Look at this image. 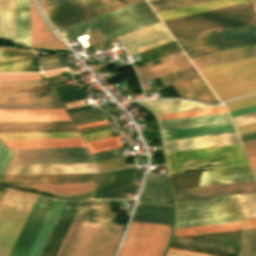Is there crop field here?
Listing matches in <instances>:
<instances>
[{
  "label": "crop field",
  "mask_w": 256,
  "mask_h": 256,
  "mask_svg": "<svg viewBox=\"0 0 256 256\" xmlns=\"http://www.w3.org/2000/svg\"><path fill=\"white\" fill-rule=\"evenodd\" d=\"M236 197L245 217H256V194ZM236 197L230 194L175 201V228L245 220Z\"/></svg>",
  "instance_id": "obj_1"
},
{
  "label": "crop field",
  "mask_w": 256,
  "mask_h": 256,
  "mask_svg": "<svg viewBox=\"0 0 256 256\" xmlns=\"http://www.w3.org/2000/svg\"><path fill=\"white\" fill-rule=\"evenodd\" d=\"M109 201L94 202L68 256H112L122 231Z\"/></svg>",
  "instance_id": "obj_2"
},
{
  "label": "crop field",
  "mask_w": 256,
  "mask_h": 256,
  "mask_svg": "<svg viewBox=\"0 0 256 256\" xmlns=\"http://www.w3.org/2000/svg\"><path fill=\"white\" fill-rule=\"evenodd\" d=\"M165 21V20H164ZM256 21L252 1L165 21L176 40Z\"/></svg>",
  "instance_id": "obj_3"
},
{
  "label": "crop field",
  "mask_w": 256,
  "mask_h": 256,
  "mask_svg": "<svg viewBox=\"0 0 256 256\" xmlns=\"http://www.w3.org/2000/svg\"><path fill=\"white\" fill-rule=\"evenodd\" d=\"M52 200L37 196L9 256H26ZM66 201L53 200L27 256H40Z\"/></svg>",
  "instance_id": "obj_4"
},
{
  "label": "crop field",
  "mask_w": 256,
  "mask_h": 256,
  "mask_svg": "<svg viewBox=\"0 0 256 256\" xmlns=\"http://www.w3.org/2000/svg\"><path fill=\"white\" fill-rule=\"evenodd\" d=\"M220 101L256 92V56L199 68Z\"/></svg>",
  "instance_id": "obj_5"
},
{
  "label": "crop field",
  "mask_w": 256,
  "mask_h": 256,
  "mask_svg": "<svg viewBox=\"0 0 256 256\" xmlns=\"http://www.w3.org/2000/svg\"><path fill=\"white\" fill-rule=\"evenodd\" d=\"M170 173L249 164L240 144L166 153ZM223 163L207 168L196 166Z\"/></svg>",
  "instance_id": "obj_6"
},
{
  "label": "crop field",
  "mask_w": 256,
  "mask_h": 256,
  "mask_svg": "<svg viewBox=\"0 0 256 256\" xmlns=\"http://www.w3.org/2000/svg\"><path fill=\"white\" fill-rule=\"evenodd\" d=\"M189 58L256 43V22L179 40Z\"/></svg>",
  "instance_id": "obj_7"
},
{
  "label": "crop field",
  "mask_w": 256,
  "mask_h": 256,
  "mask_svg": "<svg viewBox=\"0 0 256 256\" xmlns=\"http://www.w3.org/2000/svg\"><path fill=\"white\" fill-rule=\"evenodd\" d=\"M36 196L6 190L0 202V256H8Z\"/></svg>",
  "instance_id": "obj_8"
},
{
  "label": "crop field",
  "mask_w": 256,
  "mask_h": 256,
  "mask_svg": "<svg viewBox=\"0 0 256 256\" xmlns=\"http://www.w3.org/2000/svg\"><path fill=\"white\" fill-rule=\"evenodd\" d=\"M169 233L166 225L131 222L118 256H160Z\"/></svg>",
  "instance_id": "obj_9"
},
{
  "label": "crop field",
  "mask_w": 256,
  "mask_h": 256,
  "mask_svg": "<svg viewBox=\"0 0 256 256\" xmlns=\"http://www.w3.org/2000/svg\"><path fill=\"white\" fill-rule=\"evenodd\" d=\"M10 164L93 162L86 147L11 149Z\"/></svg>",
  "instance_id": "obj_10"
},
{
  "label": "crop field",
  "mask_w": 256,
  "mask_h": 256,
  "mask_svg": "<svg viewBox=\"0 0 256 256\" xmlns=\"http://www.w3.org/2000/svg\"><path fill=\"white\" fill-rule=\"evenodd\" d=\"M152 11L145 0L61 29L65 41Z\"/></svg>",
  "instance_id": "obj_11"
},
{
  "label": "crop field",
  "mask_w": 256,
  "mask_h": 256,
  "mask_svg": "<svg viewBox=\"0 0 256 256\" xmlns=\"http://www.w3.org/2000/svg\"><path fill=\"white\" fill-rule=\"evenodd\" d=\"M120 1L123 0H63L43 7V10L55 25Z\"/></svg>",
  "instance_id": "obj_12"
},
{
  "label": "crop field",
  "mask_w": 256,
  "mask_h": 256,
  "mask_svg": "<svg viewBox=\"0 0 256 256\" xmlns=\"http://www.w3.org/2000/svg\"><path fill=\"white\" fill-rule=\"evenodd\" d=\"M128 55L141 52L162 43L173 40L161 22L117 37Z\"/></svg>",
  "instance_id": "obj_13"
},
{
  "label": "crop field",
  "mask_w": 256,
  "mask_h": 256,
  "mask_svg": "<svg viewBox=\"0 0 256 256\" xmlns=\"http://www.w3.org/2000/svg\"><path fill=\"white\" fill-rule=\"evenodd\" d=\"M99 173L3 175L4 184L96 182Z\"/></svg>",
  "instance_id": "obj_14"
},
{
  "label": "crop field",
  "mask_w": 256,
  "mask_h": 256,
  "mask_svg": "<svg viewBox=\"0 0 256 256\" xmlns=\"http://www.w3.org/2000/svg\"><path fill=\"white\" fill-rule=\"evenodd\" d=\"M43 93L49 92L0 93V109L62 108L57 96L40 98Z\"/></svg>",
  "instance_id": "obj_15"
},
{
  "label": "crop field",
  "mask_w": 256,
  "mask_h": 256,
  "mask_svg": "<svg viewBox=\"0 0 256 256\" xmlns=\"http://www.w3.org/2000/svg\"><path fill=\"white\" fill-rule=\"evenodd\" d=\"M256 191V180L173 190L175 200Z\"/></svg>",
  "instance_id": "obj_16"
},
{
  "label": "crop field",
  "mask_w": 256,
  "mask_h": 256,
  "mask_svg": "<svg viewBox=\"0 0 256 256\" xmlns=\"http://www.w3.org/2000/svg\"><path fill=\"white\" fill-rule=\"evenodd\" d=\"M70 121L64 109L0 110V122Z\"/></svg>",
  "instance_id": "obj_17"
},
{
  "label": "crop field",
  "mask_w": 256,
  "mask_h": 256,
  "mask_svg": "<svg viewBox=\"0 0 256 256\" xmlns=\"http://www.w3.org/2000/svg\"><path fill=\"white\" fill-rule=\"evenodd\" d=\"M165 152L240 143L236 134H222L163 141Z\"/></svg>",
  "instance_id": "obj_18"
},
{
  "label": "crop field",
  "mask_w": 256,
  "mask_h": 256,
  "mask_svg": "<svg viewBox=\"0 0 256 256\" xmlns=\"http://www.w3.org/2000/svg\"><path fill=\"white\" fill-rule=\"evenodd\" d=\"M98 172L94 163L9 165L5 174Z\"/></svg>",
  "instance_id": "obj_19"
},
{
  "label": "crop field",
  "mask_w": 256,
  "mask_h": 256,
  "mask_svg": "<svg viewBox=\"0 0 256 256\" xmlns=\"http://www.w3.org/2000/svg\"><path fill=\"white\" fill-rule=\"evenodd\" d=\"M31 47L45 50H68L45 26L30 0Z\"/></svg>",
  "instance_id": "obj_20"
},
{
  "label": "crop field",
  "mask_w": 256,
  "mask_h": 256,
  "mask_svg": "<svg viewBox=\"0 0 256 256\" xmlns=\"http://www.w3.org/2000/svg\"><path fill=\"white\" fill-rule=\"evenodd\" d=\"M181 98L195 99L208 103H218V99L199 74L172 83Z\"/></svg>",
  "instance_id": "obj_21"
},
{
  "label": "crop field",
  "mask_w": 256,
  "mask_h": 256,
  "mask_svg": "<svg viewBox=\"0 0 256 256\" xmlns=\"http://www.w3.org/2000/svg\"><path fill=\"white\" fill-rule=\"evenodd\" d=\"M78 132L72 122L0 123V133Z\"/></svg>",
  "instance_id": "obj_22"
},
{
  "label": "crop field",
  "mask_w": 256,
  "mask_h": 256,
  "mask_svg": "<svg viewBox=\"0 0 256 256\" xmlns=\"http://www.w3.org/2000/svg\"><path fill=\"white\" fill-rule=\"evenodd\" d=\"M255 179L249 165L203 171L200 186Z\"/></svg>",
  "instance_id": "obj_23"
},
{
  "label": "crop field",
  "mask_w": 256,
  "mask_h": 256,
  "mask_svg": "<svg viewBox=\"0 0 256 256\" xmlns=\"http://www.w3.org/2000/svg\"><path fill=\"white\" fill-rule=\"evenodd\" d=\"M163 140L235 132L231 122L161 130Z\"/></svg>",
  "instance_id": "obj_24"
},
{
  "label": "crop field",
  "mask_w": 256,
  "mask_h": 256,
  "mask_svg": "<svg viewBox=\"0 0 256 256\" xmlns=\"http://www.w3.org/2000/svg\"><path fill=\"white\" fill-rule=\"evenodd\" d=\"M35 52L4 47L0 57V72L29 71Z\"/></svg>",
  "instance_id": "obj_25"
},
{
  "label": "crop field",
  "mask_w": 256,
  "mask_h": 256,
  "mask_svg": "<svg viewBox=\"0 0 256 256\" xmlns=\"http://www.w3.org/2000/svg\"><path fill=\"white\" fill-rule=\"evenodd\" d=\"M96 183L80 184H47V185H14L22 188H32L54 195L91 198Z\"/></svg>",
  "instance_id": "obj_26"
},
{
  "label": "crop field",
  "mask_w": 256,
  "mask_h": 256,
  "mask_svg": "<svg viewBox=\"0 0 256 256\" xmlns=\"http://www.w3.org/2000/svg\"><path fill=\"white\" fill-rule=\"evenodd\" d=\"M156 22H159V19L157 18L154 11H152L144 15L96 31V33L103 41H105L113 37L131 32L133 30L151 25Z\"/></svg>",
  "instance_id": "obj_27"
},
{
  "label": "crop field",
  "mask_w": 256,
  "mask_h": 256,
  "mask_svg": "<svg viewBox=\"0 0 256 256\" xmlns=\"http://www.w3.org/2000/svg\"><path fill=\"white\" fill-rule=\"evenodd\" d=\"M256 55V44L192 58L196 68Z\"/></svg>",
  "instance_id": "obj_28"
},
{
  "label": "crop field",
  "mask_w": 256,
  "mask_h": 256,
  "mask_svg": "<svg viewBox=\"0 0 256 256\" xmlns=\"http://www.w3.org/2000/svg\"><path fill=\"white\" fill-rule=\"evenodd\" d=\"M131 221L171 224V207L138 204Z\"/></svg>",
  "instance_id": "obj_29"
},
{
  "label": "crop field",
  "mask_w": 256,
  "mask_h": 256,
  "mask_svg": "<svg viewBox=\"0 0 256 256\" xmlns=\"http://www.w3.org/2000/svg\"><path fill=\"white\" fill-rule=\"evenodd\" d=\"M140 103L151 109L154 114L224 106H207L182 100H147Z\"/></svg>",
  "instance_id": "obj_30"
},
{
  "label": "crop field",
  "mask_w": 256,
  "mask_h": 256,
  "mask_svg": "<svg viewBox=\"0 0 256 256\" xmlns=\"http://www.w3.org/2000/svg\"><path fill=\"white\" fill-rule=\"evenodd\" d=\"M188 66H191V63L188 61L185 55H183L172 60L137 71L136 73L140 79V82L142 83Z\"/></svg>",
  "instance_id": "obj_31"
},
{
  "label": "crop field",
  "mask_w": 256,
  "mask_h": 256,
  "mask_svg": "<svg viewBox=\"0 0 256 256\" xmlns=\"http://www.w3.org/2000/svg\"><path fill=\"white\" fill-rule=\"evenodd\" d=\"M9 148L85 146L81 138L3 140Z\"/></svg>",
  "instance_id": "obj_32"
},
{
  "label": "crop field",
  "mask_w": 256,
  "mask_h": 256,
  "mask_svg": "<svg viewBox=\"0 0 256 256\" xmlns=\"http://www.w3.org/2000/svg\"><path fill=\"white\" fill-rule=\"evenodd\" d=\"M139 200L170 203L165 177L148 174L147 181Z\"/></svg>",
  "instance_id": "obj_33"
},
{
  "label": "crop field",
  "mask_w": 256,
  "mask_h": 256,
  "mask_svg": "<svg viewBox=\"0 0 256 256\" xmlns=\"http://www.w3.org/2000/svg\"><path fill=\"white\" fill-rule=\"evenodd\" d=\"M16 41L30 47L29 0H15Z\"/></svg>",
  "instance_id": "obj_34"
},
{
  "label": "crop field",
  "mask_w": 256,
  "mask_h": 256,
  "mask_svg": "<svg viewBox=\"0 0 256 256\" xmlns=\"http://www.w3.org/2000/svg\"><path fill=\"white\" fill-rule=\"evenodd\" d=\"M138 167L101 174L96 191L108 190L132 184Z\"/></svg>",
  "instance_id": "obj_35"
},
{
  "label": "crop field",
  "mask_w": 256,
  "mask_h": 256,
  "mask_svg": "<svg viewBox=\"0 0 256 256\" xmlns=\"http://www.w3.org/2000/svg\"><path fill=\"white\" fill-rule=\"evenodd\" d=\"M93 202L82 201L56 256H67Z\"/></svg>",
  "instance_id": "obj_36"
},
{
  "label": "crop field",
  "mask_w": 256,
  "mask_h": 256,
  "mask_svg": "<svg viewBox=\"0 0 256 256\" xmlns=\"http://www.w3.org/2000/svg\"><path fill=\"white\" fill-rule=\"evenodd\" d=\"M253 227H256V220L179 228V229H175L174 234L185 236V235L237 230V229H245V228H253Z\"/></svg>",
  "instance_id": "obj_37"
},
{
  "label": "crop field",
  "mask_w": 256,
  "mask_h": 256,
  "mask_svg": "<svg viewBox=\"0 0 256 256\" xmlns=\"http://www.w3.org/2000/svg\"><path fill=\"white\" fill-rule=\"evenodd\" d=\"M227 121H230V118L227 113H223V114H215V115L163 120L159 122H160V128L165 129V128L200 125V124L227 122Z\"/></svg>",
  "instance_id": "obj_38"
},
{
  "label": "crop field",
  "mask_w": 256,
  "mask_h": 256,
  "mask_svg": "<svg viewBox=\"0 0 256 256\" xmlns=\"http://www.w3.org/2000/svg\"><path fill=\"white\" fill-rule=\"evenodd\" d=\"M0 37L15 41L14 0H0Z\"/></svg>",
  "instance_id": "obj_39"
},
{
  "label": "crop field",
  "mask_w": 256,
  "mask_h": 256,
  "mask_svg": "<svg viewBox=\"0 0 256 256\" xmlns=\"http://www.w3.org/2000/svg\"><path fill=\"white\" fill-rule=\"evenodd\" d=\"M250 1V0H247ZM241 2H246L244 0H216V1H211L203 4H198L194 6H189L181 9H176L172 11H167L163 13H159L158 16L161 18V20L168 19V18H173L177 16H182L186 14H191L195 12H200L204 10H209V9H214L218 7H223L227 5H232L236 3H241Z\"/></svg>",
  "instance_id": "obj_40"
},
{
  "label": "crop field",
  "mask_w": 256,
  "mask_h": 256,
  "mask_svg": "<svg viewBox=\"0 0 256 256\" xmlns=\"http://www.w3.org/2000/svg\"><path fill=\"white\" fill-rule=\"evenodd\" d=\"M256 254V228L241 230L240 252L238 256Z\"/></svg>",
  "instance_id": "obj_41"
},
{
  "label": "crop field",
  "mask_w": 256,
  "mask_h": 256,
  "mask_svg": "<svg viewBox=\"0 0 256 256\" xmlns=\"http://www.w3.org/2000/svg\"><path fill=\"white\" fill-rule=\"evenodd\" d=\"M69 115L75 125L110 118L104 111L99 108L70 113Z\"/></svg>",
  "instance_id": "obj_42"
},
{
  "label": "crop field",
  "mask_w": 256,
  "mask_h": 256,
  "mask_svg": "<svg viewBox=\"0 0 256 256\" xmlns=\"http://www.w3.org/2000/svg\"><path fill=\"white\" fill-rule=\"evenodd\" d=\"M227 112L225 107L156 115L158 120Z\"/></svg>",
  "instance_id": "obj_43"
},
{
  "label": "crop field",
  "mask_w": 256,
  "mask_h": 256,
  "mask_svg": "<svg viewBox=\"0 0 256 256\" xmlns=\"http://www.w3.org/2000/svg\"><path fill=\"white\" fill-rule=\"evenodd\" d=\"M137 1H140V0H126V1L120 2V3H118V4H115V5L106 7V8H104V9H101V10H98V11H95V12H92V13H90V14H87V15H84V16H81V17H78V18H76V19H73V20L64 22V23L59 24V25H56V26L60 29V28H63V27L72 25V24H74V23H77V22H80V21H83V20L92 18V17H94V16H97V15H100V14H103V13H106V12H109V11H112V10H114V9H117V8H120V7L129 5V4H132V3L137 2Z\"/></svg>",
  "instance_id": "obj_44"
},
{
  "label": "crop field",
  "mask_w": 256,
  "mask_h": 256,
  "mask_svg": "<svg viewBox=\"0 0 256 256\" xmlns=\"http://www.w3.org/2000/svg\"><path fill=\"white\" fill-rule=\"evenodd\" d=\"M80 137L79 133L0 134L1 139Z\"/></svg>",
  "instance_id": "obj_45"
},
{
  "label": "crop field",
  "mask_w": 256,
  "mask_h": 256,
  "mask_svg": "<svg viewBox=\"0 0 256 256\" xmlns=\"http://www.w3.org/2000/svg\"><path fill=\"white\" fill-rule=\"evenodd\" d=\"M207 1H211V0H175V1L153 5L152 8L155 10L156 13H159V12L181 8V7L194 5L202 2H207Z\"/></svg>",
  "instance_id": "obj_46"
},
{
  "label": "crop field",
  "mask_w": 256,
  "mask_h": 256,
  "mask_svg": "<svg viewBox=\"0 0 256 256\" xmlns=\"http://www.w3.org/2000/svg\"><path fill=\"white\" fill-rule=\"evenodd\" d=\"M129 160L128 156L119 157L114 159H108L103 161L95 162L99 171L103 172L106 170L130 167L132 164L126 165V161Z\"/></svg>",
  "instance_id": "obj_47"
},
{
  "label": "crop field",
  "mask_w": 256,
  "mask_h": 256,
  "mask_svg": "<svg viewBox=\"0 0 256 256\" xmlns=\"http://www.w3.org/2000/svg\"><path fill=\"white\" fill-rule=\"evenodd\" d=\"M174 242H180V243H186V244H192V245H198V246H204V247H210V248H215L227 252L233 253L235 248L233 247H228L224 245H219V244H214V243H209V242H204L200 240H195V239H190V238H185V237H179L173 235V240Z\"/></svg>",
  "instance_id": "obj_48"
},
{
  "label": "crop field",
  "mask_w": 256,
  "mask_h": 256,
  "mask_svg": "<svg viewBox=\"0 0 256 256\" xmlns=\"http://www.w3.org/2000/svg\"><path fill=\"white\" fill-rule=\"evenodd\" d=\"M119 137H122V136H119ZM119 143L120 142L118 137H114V138H108V139H103L98 141L87 142L86 145L90 153H93L101 150L118 147L117 144Z\"/></svg>",
  "instance_id": "obj_49"
},
{
  "label": "crop field",
  "mask_w": 256,
  "mask_h": 256,
  "mask_svg": "<svg viewBox=\"0 0 256 256\" xmlns=\"http://www.w3.org/2000/svg\"><path fill=\"white\" fill-rule=\"evenodd\" d=\"M43 71L68 66L62 56H43L39 59Z\"/></svg>",
  "instance_id": "obj_50"
},
{
  "label": "crop field",
  "mask_w": 256,
  "mask_h": 256,
  "mask_svg": "<svg viewBox=\"0 0 256 256\" xmlns=\"http://www.w3.org/2000/svg\"><path fill=\"white\" fill-rule=\"evenodd\" d=\"M197 74V71L194 69L193 66L182 69L180 71L159 77V80L164 84H169L175 82L177 80L189 77L191 75Z\"/></svg>",
  "instance_id": "obj_51"
},
{
  "label": "crop field",
  "mask_w": 256,
  "mask_h": 256,
  "mask_svg": "<svg viewBox=\"0 0 256 256\" xmlns=\"http://www.w3.org/2000/svg\"><path fill=\"white\" fill-rule=\"evenodd\" d=\"M139 185L97 192L93 198H121L124 192L136 194Z\"/></svg>",
  "instance_id": "obj_52"
},
{
  "label": "crop field",
  "mask_w": 256,
  "mask_h": 256,
  "mask_svg": "<svg viewBox=\"0 0 256 256\" xmlns=\"http://www.w3.org/2000/svg\"><path fill=\"white\" fill-rule=\"evenodd\" d=\"M53 91L49 85L0 86V92Z\"/></svg>",
  "instance_id": "obj_53"
},
{
  "label": "crop field",
  "mask_w": 256,
  "mask_h": 256,
  "mask_svg": "<svg viewBox=\"0 0 256 256\" xmlns=\"http://www.w3.org/2000/svg\"><path fill=\"white\" fill-rule=\"evenodd\" d=\"M228 110H234L256 104V94L225 103Z\"/></svg>",
  "instance_id": "obj_54"
},
{
  "label": "crop field",
  "mask_w": 256,
  "mask_h": 256,
  "mask_svg": "<svg viewBox=\"0 0 256 256\" xmlns=\"http://www.w3.org/2000/svg\"><path fill=\"white\" fill-rule=\"evenodd\" d=\"M40 75L42 74H37V73L0 74V80L42 79Z\"/></svg>",
  "instance_id": "obj_55"
},
{
  "label": "crop field",
  "mask_w": 256,
  "mask_h": 256,
  "mask_svg": "<svg viewBox=\"0 0 256 256\" xmlns=\"http://www.w3.org/2000/svg\"><path fill=\"white\" fill-rule=\"evenodd\" d=\"M234 126H240L256 121V112L231 118Z\"/></svg>",
  "instance_id": "obj_56"
},
{
  "label": "crop field",
  "mask_w": 256,
  "mask_h": 256,
  "mask_svg": "<svg viewBox=\"0 0 256 256\" xmlns=\"http://www.w3.org/2000/svg\"><path fill=\"white\" fill-rule=\"evenodd\" d=\"M11 155V151L0 141V175L4 170L7 162L9 161Z\"/></svg>",
  "instance_id": "obj_57"
},
{
  "label": "crop field",
  "mask_w": 256,
  "mask_h": 256,
  "mask_svg": "<svg viewBox=\"0 0 256 256\" xmlns=\"http://www.w3.org/2000/svg\"><path fill=\"white\" fill-rule=\"evenodd\" d=\"M91 155H92L94 161H97V160H102V159L122 156L123 154L116 148V149H112V150H107V151H102V152H98V153H93Z\"/></svg>",
  "instance_id": "obj_58"
},
{
  "label": "crop field",
  "mask_w": 256,
  "mask_h": 256,
  "mask_svg": "<svg viewBox=\"0 0 256 256\" xmlns=\"http://www.w3.org/2000/svg\"><path fill=\"white\" fill-rule=\"evenodd\" d=\"M111 136H113V135H112L110 129L82 135L85 142L97 140V139H101V138H106V137H111Z\"/></svg>",
  "instance_id": "obj_59"
},
{
  "label": "crop field",
  "mask_w": 256,
  "mask_h": 256,
  "mask_svg": "<svg viewBox=\"0 0 256 256\" xmlns=\"http://www.w3.org/2000/svg\"><path fill=\"white\" fill-rule=\"evenodd\" d=\"M46 84L45 80L0 81V85Z\"/></svg>",
  "instance_id": "obj_60"
},
{
  "label": "crop field",
  "mask_w": 256,
  "mask_h": 256,
  "mask_svg": "<svg viewBox=\"0 0 256 256\" xmlns=\"http://www.w3.org/2000/svg\"><path fill=\"white\" fill-rule=\"evenodd\" d=\"M166 256H208V255L197 254V253L169 248Z\"/></svg>",
  "instance_id": "obj_61"
},
{
  "label": "crop field",
  "mask_w": 256,
  "mask_h": 256,
  "mask_svg": "<svg viewBox=\"0 0 256 256\" xmlns=\"http://www.w3.org/2000/svg\"><path fill=\"white\" fill-rule=\"evenodd\" d=\"M236 131H237L238 135L256 131V122L252 123V124L236 127Z\"/></svg>",
  "instance_id": "obj_62"
},
{
  "label": "crop field",
  "mask_w": 256,
  "mask_h": 256,
  "mask_svg": "<svg viewBox=\"0 0 256 256\" xmlns=\"http://www.w3.org/2000/svg\"><path fill=\"white\" fill-rule=\"evenodd\" d=\"M252 111H256V105L238 109V110H234V111H230L229 113H230V116L232 117V116H236V115H240V114H244V113H248V112H252Z\"/></svg>",
  "instance_id": "obj_63"
},
{
  "label": "crop field",
  "mask_w": 256,
  "mask_h": 256,
  "mask_svg": "<svg viewBox=\"0 0 256 256\" xmlns=\"http://www.w3.org/2000/svg\"><path fill=\"white\" fill-rule=\"evenodd\" d=\"M172 248H177V249H183V250H188L190 251L192 246L191 245H185V244H180V243H174L172 242L171 246Z\"/></svg>",
  "instance_id": "obj_64"
},
{
  "label": "crop field",
  "mask_w": 256,
  "mask_h": 256,
  "mask_svg": "<svg viewBox=\"0 0 256 256\" xmlns=\"http://www.w3.org/2000/svg\"><path fill=\"white\" fill-rule=\"evenodd\" d=\"M239 137H240L241 141L251 139V138H255L256 137V132L240 135Z\"/></svg>",
  "instance_id": "obj_65"
},
{
  "label": "crop field",
  "mask_w": 256,
  "mask_h": 256,
  "mask_svg": "<svg viewBox=\"0 0 256 256\" xmlns=\"http://www.w3.org/2000/svg\"><path fill=\"white\" fill-rule=\"evenodd\" d=\"M244 147H250V146H254L256 145V138L255 139H251V140H247V141H243L242 142Z\"/></svg>",
  "instance_id": "obj_66"
},
{
  "label": "crop field",
  "mask_w": 256,
  "mask_h": 256,
  "mask_svg": "<svg viewBox=\"0 0 256 256\" xmlns=\"http://www.w3.org/2000/svg\"><path fill=\"white\" fill-rule=\"evenodd\" d=\"M246 153H247V156H253V155H256V146L254 147H250V148H246Z\"/></svg>",
  "instance_id": "obj_67"
},
{
  "label": "crop field",
  "mask_w": 256,
  "mask_h": 256,
  "mask_svg": "<svg viewBox=\"0 0 256 256\" xmlns=\"http://www.w3.org/2000/svg\"><path fill=\"white\" fill-rule=\"evenodd\" d=\"M40 1V4L41 6H46V5H49L51 3H54V2H57V1H60V0H39Z\"/></svg>",
  "instance_id": "obj_68"
},
{
  "label": "crop field",
  "mask_w": 256,
  "mask_h": 256,
  "mask_svg": "<svg viewBox=\"0 0 256 256\" xmlns=\"http://www.w3.org/2000/svg\"><path fill=\"white\" fill-rule=\"evenodd\" d=\"M108 121H103V122H92V123H88V124H83V125H78L77 128H80V127H85V126H90V125H96V124H101V123H106Z\"/></svg>",
  "instance_id": "obj_69"
},
{
  "label": "crop field",
  "mask_w": 256,
  "mask_h": 256,
  "mask_svg": "<svg viewBox=\"0 0 256 256\" xmlns=\"http://www.w3.org/2000/svg\"><path fill=\"white\" fill-rule=\"evenodd\" d=\"M248 159H249L253 169L255 170L256 169V156L249 157Z\"/></svg>",
  "instance_id": "obj_70"
},
{
  "label": "crop field",
  "mask_w": 256,
  "mask_h": 256,
  "mask_svg": "<svg viewBox=\"0 0 256 256\" xmlns=\"http://www.w3.org/2000/svg\"><path fill=\"white\" fill-rule=\"evenodd\" d=\"M166 1H170V0H154V1H150L149 4L153 5V4H157V3H161V2H166Z\"/></svg>",
  "instance_id": "obj_71"
},
{
  "label": "crop field",
  "mask_w": 256,
  "mask_h": 256,
  "mask_svg": "<svg viewBox=\"0 0 256 256\" xmlns=\"http://www.w3.org/2000/svg\"><path fill=\"white\" fill-rule=\"evenodd\" d=\"M4 188H2V187H0V198H1V196H2V194H3V192H4Z\"/></svg>",
  "instance_id": "obj_72"
},
{
  "label": "crop field",
  "mask_w": 256,
  "mask_h": 256,
  "mask_svg": "<svg viewBox=\"0 0 256 256\" xmlns=\"http://www.w3.org/2000/svg\"><path fill=\"white\" fill-rule=\"evenodd\" d=\"M2 48H3V47H0V54H1Z\"/></svg>",
  "instance_id": "obj_73"
},
{
  "label": "crop field",
  "mask_w": 256,
  "mask_h": 256,
  "mask_svg": "<svg viewBox=\"0 0 256 256\" xmlns=\"http://www.w3.org/2000/svg\"><path fill=\"white\" fill-rule=\"evenodd\" d=\"M254 3H256V0H254Z\"/></svg>",
  "instance_id": "obj_74"
},
{
  "label": "crop field",
  "mask_w": 256,
  "mask_h": 256,
  "mask_svg": "<svg viewBox=\"0 0 256 256\" xmlns=\"http://www.w3.org/2000/svg\"><path fill=\"white\" fill-rule=\"evenodd\" d=\"M254 6L256 7V4H254Z\"/></svg>",
  "instance_id": "obj_75"
},
{
  "label": "crop field",
  "mask_w": 256,
  "mask_h": 256,
  "mask_svg": "<svg viewBox=\"0 0 256 256\" xmlns=\"http://www.w3.org/2000/svg\"><path fill=\"white\" fill-rule=\"evenodd\" d=\"M254 172H255V174H256V170H255Z\"/></svg>",
  "instance_id": "obj_76"
},
{
  "label": "crop field",
  "mask_w": 256,
  "mask_h": 256,
  "mask_svg": "<svg viewBox=\"0 0 256 256\" xmlns=\"http://www.w3.org/2000/svg\"><path fill=\"white\" fill-rule=\"evenodd\" d=\"M147 1H150V0H147Z\"/></svg>",
  "instance_id": "obj_77"
}]
</instances>
